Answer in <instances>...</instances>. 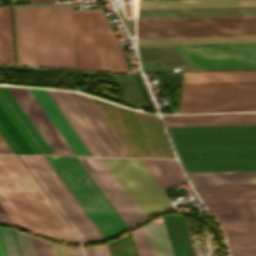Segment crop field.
<instances>
[{"label":"crop field","mask_w":256,"mask_h":256,"mask_svg":"<svg viewBox=\"0 0 256 256\" xmlns=\"http://www.w3.org/2000/svg\"><path fill=\"white\" fill-rule=\"evenodd\" d=\"M0 134L14 153L54 154L6 87H0Z\"/></svg>","instance_id":"crop-field-10"},{"label":"crop field","mask_w":256,"mask_h":256,"mask_svg":"<svg viewBox=\"0 0 256 256\" xmlns=\"http://www.w3.org/2000/svg\"><path fill=\"white\" fill-rule=\"evenodd\" d=\"M256 94V90L183 92V96ZM256 111V95L183 97L181 113Z\"/></svg>","instance_id":"crop-field-14"},{"label":"crop field","mask_w":256,"mask_h":256,"mask_svg":"<svg viewBox=\"0 0 256 256\" xmlns=\"http://www.w3.org/2000/svg\"><path fill=\"white\" fill-rule=\"evenodd\" d=\"M67 248H68L70 256H83L81 249H74V248H69V247H67Z\"/></svg>","instance_id":"crop-field-37"},{"label":"crop field","mask_w":256,"mask_h":256,"mask_svg":"<svg viewBox=\"0 0 256 256\" xmlns=\"http://www.w3.org/2000/svg\"><path fill=\"white\" fill-rule=\"evenodd\" d=\"M91 99L132 157L174 158L157 117Z\"/></svg>","instance_id":"crop-field-4"},{"label":"crop field","mask_w":256,"mask_h":256,"mask_svg":"<svg viewBox=\"0 0 256 256\" xmlns=\"http://www.w3.org/2000/svg\"><path fill=\"white\" fill-rule=\"evenodd\" d=\"M256 16V7L137 10V19Z\"/></svg>","instance_id":"crop-field-17"},{"label":"crop field","mask_w":256,"mask_h":256,"mask_svg":"<svg viewBox=\"0 0 256 256\" xmlns=\"http://www.w3.org/2000/svg\"><path fill=\"white\" fill-rule=\"evenodd\" d=\"M46 158L105 239L127 229L76 157Z\"/></svg>","instance_id":"crop-field-6"},{"label":"crop field","mask_w":256,"mask_h":256,"mask_svg":"<svg viewBox=\"0 0 256 256\" xmlns=\"http://www.w3.org/2000/svg\"><path fill=\"white\" fill-rule=\"evenodd\" d=\"M85 256H98L95 247L83 248Z\"/></svg>","instance_id":"crop-field-36"},{"label":"crop field","mask_w":256,"mask_h":256,"mask_svg":"<svg viewBox=\"0 0 256 256\" xmlns=\"http://www.w3.org/2000/svg\"><path fill=\"white\" fill-rule=\"evenodd\" d=\"M256 6V0H155L137 1V9Z\"/></svg>","instance_id":"crop-field-21"},{"label":"crop field","mask_w":256,"mask_h":256,"mask_svg":"<svg viewBox=\"0 0 256 256\" xmlns=\"http://www.w3.org/2000/svg\"><path fill=\"white\" fill-rule=\"evenodd\" d=\"M189 179H190L192 185L256 183V176H248V177H208V178H189Z\"/></svg>","instance_id":"crop-field-27"},{"label":"crop field","mask_w":256,"mask_h":256,"mask_svg":"<svg viewBox=\"0 0 256 256\" xmlns=\"http://www.w3.org/2000/svg\"><path fill=\"white\" fill-rule=\"evenodd\" d=\"M49 1H55V0H30V3H36V2H49Z\"/></svg>","instance_id":"crop-field-39"},{"label":"crop field","mask_w":256,"mask_h":256,"mask_svg":"<svg viewBox=\"0 0 256 256\" xmlns=\"http://www.w3.org/2000/svg\"><path fill=\"white\" fill-rule=\"evenodd\" d=\"M76 155H91L45 90L29 88Z\"/></svg>","instance_id":"crop-field-18"},{"label":"crop field","mask_w":256,"mask_h":256,"mask_svg":"<svg viewBox=\"0 0 256 256\" xmlns=\"http://www.w3.org/2000/svg\"><path fill=\"white\" fill-rule=\"evenodd\" d=\"M96 248L99 256H110L106 245L98 246Z\"/></svg>","instance_id":"crop-field-35"},{"label":"crop field","mask_w":256,"mask_h":256,"mask_svg":"<svg viewBox=\"0 0 256 256\" xmlns=\"http://www.w3.org/2000/svg\"><path fill=\"white\" fill-rule=\"evenodd\" d=\"M0 63L13 64L9 7H0Z\"/></svg>","instance_id":"crop-field-26"},{"label":"crop field","mask_w":256,"mask_h":256,"mask_svg":"<svg viewBox=\"0 0 256 256\" xmlns=\"http://www.w3.org/2000/svg\"><path fill=\"white\" fill-rule=\"evenodd\" d=\"M166 126L256 124L255 114L162 116Z\"/></svg>","instance_id":"crop-field-19"},{"label":"crop field","mask_w":256,"mask_h":256,"mask_svg":"<svg viewBox=\"0 0 256 256\" xmlns=\"http://www.w3.org/2000/svg\"><path fill=\"white\" fill-rule=\"evenodd\" d=\"M32 240H33V244H34L37 256H44L40 241L34 237H32ZM42 244H43L46 256H59L57 247L55 245L49 244L44 241H42ZM58 247H59L61 256H69L66 248L60 247V246Z\"/></svg>","instance_id":"crop-field-31"},{"label":"crop field","mask_w":256,"mask_h":256,"mask_svg":"<svg viewBox=\"0 0 256 256\" xmlns=\"http://www.w3.org/2000/svg\"><path fill=\"white\" fill-rule=\"evenodd\" d=\"M256 89V83L183 85V91Z\"/></svg>","instance_id":"crop-field-28"},{"label":"crop field","mask_w":256,"mask_h":256,"mask_svg":"<svg viewBox=\"0 0 256 256\" xmlns=\"http://www.w3.org/2000/svg\"><path fill=\"white\" fill-rule=\"evenodd\" d=\"M0 144L3 147V149L6 151V153H13L1 136H0Z\"/></svg>","instance_id":"crop-field-38"},{"label":"crop field","mask_w":256,"mask_h":256,"mask_svg":"<svg viewBox=\"0 0 256 256\" xmlns=\"http://www.w3.org/2000/svg\"><path fill=\"white\" fill-rule=\"evenodd\" d=\"M138 45L256 42V36L137 39Z\"/></svg>","instance_id":"crop-field-24"},{"label":"crop field","mask_w":256,"mask_h":256,"mask_svg":"<svg viewBox=\"0 0 256 256\" xmlns=\"http://www.w3.org/2000/svg\"><path fill=\"white\" fill-rule=\"evenodd\" d=\"M0 237L6 256H20L14 234L11 229L0 227Z\"/></svg>","instance_id":"crop-field-30"},{"label":"crop field","mask_w":256,"mask_h":256,"mask_svg":"<svg viewBox=\"0 0 256 256\" xmlns=\"http://www.w3.org/2000/svg\"><path fill=\"white\" fill-rule=\"evenodd\" d=\"M161 188L185 182L176 160L141 159Z\"/></svg>","instance_id":"crop-field-23"},{"label":"crop field","mask_w":256,"mask_h":256,"mask_svg":"<svg viewBox=\"0 0 256 256\" xmlns=\"http://www.w3.org/2000/svg\"><path fill=\"white\" fill-rule=\"evenodd\" d=\"M176 46L197 70L256 68V43Z\"/></svg>","instance_id":"crop-field-11"},{"label":"crop field","mask_w":256,"mask_h":256,"mask_svg":"<svg viewBox=\"0 0 256 256\" xmlns=\"http://www.w3.org/2000/svg\"><path fill=\"white\" fill-rule=\"evenodd\" d=\"M0 256H5L1 241H0Z\"/></svg>","instance_id":"crop-field-40"},{"label":"crop field","mask_w":256,"mask_h":256,"mask_svg":"<svg viewBox=\"0 0 256 256\" xmlns=\"http://www.w3.org/2000/svg\"><path fill=\"white\" fill-rule=\"evenodd\" d=\"M17 64L75 68L72 6L12 7Z\"/></svg>","instance_id":"crop-field-1"},{"label":"crop field","mask_w":256,"mask_h":256,"mask_svg":"<svg viewBox=\"0 0 256 256\" xmlns=\"http://www.w3.org/2000/svg\"><path fill=\"white\" fill-rule=\"evenodd\" d=\"M76 68L129 72L102 9L73 10Z\"/></svg>","instance_id":"crop-field-3"},{"label":"crop field","mask_w":256,"mask_h":256,"mask_svg":"<svg viewBox=\"0 0 256 256\" xmlns=\"http://www.w3.org/2000/svg\"><path fill=\"white\" fill-rule=\"evenodd\" d=\"M46 92L49 94V96L52 98L54 103L57 105V107L60 109L62 114L65 116V118L68 120L70 125L73 127V129L76 131L78 136L81 138V140L84 142L86 147L89 149V151L92 153V155H98L102 156V154L99 152L97 147L94 145L92 140L89 138L87 133L84 131L82 126L79 124L75 116L72 114L70 109L67 107L65 102L62 100L60 95L57 93V91H50L46 90Z\"/></svg>","instance_id":"crop-field-25"},{"label":"crop field","mask_w":256,"mask_h":256,"mask_svg":"<svg viewBox=\"0 0 256 256\" xmlns=\"http://www.w3.org/2000/svg\"><path fill=\"white\" fill-rule=\"evenodd\" d=\"M78 159L128 227L146 218L104 158L78 157Z\"/></svg>","instance_id":"crop-field-13"},{"label":"crop field","mask_w":256,"mask_h":256,"mask_svg":"<svg viewBox=\"0 0 256 256\" xmlns=\"http://www.w3.org/2000/svg\"><path fill=\"white\" fill-rule=\"evenodd\" d=\"M0 153H5V151L2 149L1 146H0Z\"/></svg>","instance_id":"crop-field-41"},{"label":"crop field","mask_w":256,"mask_h":256,"mask_svg":"<svg viewBox=\"0 0 256 256\" xmlns=\"http://www.w3.org/2000/svg\"><path fill=\"white\" fill-rule=\"evenodd\" d=\"M144 72L181 71V66L163 67L161 61L141 62Z\"/></svg>","instance_id":"crop-field-33"},{"label":"crop field","mask_w":256,"mask_h":256,"mask_svg":"<svg viewBox=\"0 0 256 256\" xmlns=\"http://www.w3.org/2000/svg\"><path fill=\"white\" fill-rule=\"evenodd\" d=\"M188 177H208V176H248L256 175V171L246 172H206V173H187Z\"/></svg>","instance_id":"crop-field-34"},{"label":"crop field","mask_w":256,"mask_h":256,"mask_svg":"<svg viewBox=\"0 0 256 256\" xmlns=\"http://www.w3.org/2000/svg\"><path fill=\"white\" fill-rule=\"evenodd\" d=\"M0 204L15 225L58 241L77 243L14 155H0ZM0 205V222L14 225Z\"/></svg>","instance_id":"crop-field-2"},{"label":"crop field","mask_w":256,"mask_h":256,"mask_svg":"<svg viewBox=\"0 0 256 256\" xmlns=\"http://www.w3.org/2000/svg\"><path fill=\"white\" fill-rule=\"evenodd\" d=\"M143 213L172 209L168 198L140 159L105 158Z\"/></svg>","instance_id":"crop-field-9"},{"label":"crop field","mask_w":256,"mask_h":256,"mask_svg":"<svg viewBox=\"0 0 256 256\" xmlns=\"http://www.w3.org/2000/svg\"><path fill=\"white\" fill-rule=\"evenodd\" d=\"M14 234L21 256H35L30 237L17 231Z\"/></svg>","instance_id":"crop-field-32"},{"label":"crop field","mask_w":256,"mask_h":256,"mask_svg":"<svg viewBox=\"0 0 256 256\" xmlns=\"http://www.w3.org/2000/svg\"><path fill=\"white\" fill-rule=\"evenodd\" d=\"M103 156L130 157L90 97L58 91Z\"/></svg>","instance_id":"crop-field-12"},{"label":"crop field","mask_w":256,"mask_h":256,"mask_svg":"<svg viewBox=\"0 0 256 256\" xmlns=\"http://www.w3.org/2000/svg\"><path fill=\"white\" fill-rule=\"evenodd\" d=\"M17 156L80 243L104 240L45 156Z\"/></svg>","instance_id":"crop-field-5"},{"label":"crop field","mask_w":256,"mask_h":256,"mask_svg":"<svg viewBox=\"0 0 256 256\" xmlns=\"http://www.w3.org/2000/svg\"><path fill=\"white\" fill-rule=\"evenodd\" d=\"M256 82V70L183 72V84Z\"/></svg>","instance_id":"crop-field-20"},{"label":"crop field","mask_w":256,"mask_h":256,"mask_svg":"<svg viewBox=\"0 0 256 256\" xmlns=\"http://www.w3.org/2000/svg\"><path fill=\"white\" fill-rule=\"evenodd\" d=\"M204 203L224 229L232 256L256 255V200Z\"/></svg>","instance_id":"crop-field-7"},{"label":"crop field","mask_w":256,"mask_h":256,"mask_svg":"<svg viewBox=\"0 0 256 256\" xmlns=\"http://www.w3.org/2000/svg\"><path fill=\"white\" fill-rule=\"evenodd\" d=\"M202 200L256 199V184L194 186Z\"/></svg>","instance_id":"crop-field-22"},{"label":"crop field","mask_w":256,"mask_h":256,"mask_svg":"<svg viewBox=\"0 0 256 256\" xmlns=\"http://www.w3.org/2000/svg\"><path fill=\"white\" fill-rule=\"evenodd\" d=\"M138 256H174L162 217L131 232Z\"/></svg>","instance_id":"crop-field-16"},{"label":"crop field","mask_w":256,"mask_h":256,"mask_svg":"<svg viewBox=\"0 0 256 256\" xmlns=\"http://www.w3.org/2000/svg\"><path fill=\"white\" fill-rule=\"evenodd\" d=\"M55 154L75 155L28 88L7 87Z\"/></svg>","instance_id":"crop-field-15"},{"label":"crop field","mask_w":256,"mask_h":256,"mask_svg":"<svg viewBox=\"0 0 256 256\" xmlns=\"http://www.w3.org/2000/svg\"><path fill=\"white\" fill-rule=\"evenodd\" d=\"M228 18H256V17H228ZM228 18L137 20V38H155V37H139V21L228 19ZM228 33H256V19L140 22V36L228 34ZM228 35H256V34H228ZM193 36H227V35H193ZM157 37H191V36H157Z\"/></svg>","instance_id":"crop-field-8"},{"label":"crop field","mask_w":256,"mask_h":256,"mask_svg":"<svg viewBox=\"0 0 256 256\" xmlns=\"http://www.w3.org/2000/svg\"><path fill=\"white\" fill-rule=\"evenodd\" d=\"M132 245L128 234L107 244L111 256H135Z\"/></svg>","instance_id":"crop-field-29"}]
</instances>
